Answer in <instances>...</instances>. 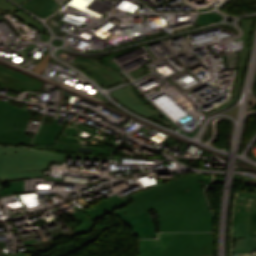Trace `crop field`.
<instances>
[{"label":"crop field","mask_w":256,"mask_h":256,"mask_svg":"<svg viewBox=\"0 0 256 256\" xmlns=\"http://www.w3.org/2000/svg\"><path fill=\"white\" fill-rule=\"evenodd\" d=\"M0 9L10 11V13H12L13 15H16V17L22 19L27 24H29V25H31V26H33L35 28H38L41 31H44V29H43L44 27H43L42 24H40L39 22L35 21L29 15H27L26 13L21 11L19 8L13 6L8 1L0 0ZM44 32H47V30H45Z\"/></svg>","instance_id":"crop-field-11"},{"label":"crop field","mask_w":256,"mask_h":256,"mask_svg":"<svg viewBox=\"0 0 256 256\" xmlns=\"http://www.w3.org/2000/svg\"><path fill=\"white\" fill-rule=\"evenodd\" d=\"M51 58L48 50L47 52L45 53V55L42 57V59L39 61V63L37 64L36 68L34 69V72L42 75L43 73V70L47 64V62L49 61V59Z\"/></svg>","instance_id":"crop-field-17"},{"label":"crop field","mask_w":256,"mask_h":256,"mask_svg":"<svg viewBox=\"0 0 256 256\" xmlns=\"http://www.w3.org/2000/svg\"><path fill=\"white\" fill-rule=\"evenodd\" d=\"M174 233H161L158 240H139L138 256H162Z\"/></svg>","instance_id":"crop-field-9"},{"label":"crop field","mask_w":256,"mask_h":256,"mask_svg":"<svg viewBox=\"0 0 256 256\" xmlns=\"http://www.w3.org/2000/svg\"><path fill=\"white\" fill-rule=\"evenodd\" d=\"M16 256H27V254H16Z\"/></svg>","instance_id":"crop-field-23"},{"label":"crop field","mask_w":256,"mask_h":256,"mask_svg":"<svg viewBox=\"0 0 256 256\" xmlns=\"http://www.w3.org/2000/svg\"><path fill=\"white\" fill-rule=\"evenodd\" d=\"M80 214L75 215L76 218H78L82 223L81 225L74 229V231L76 232H80V231H86L89 226L91 225V218H89L86 214H84L77 206L74 207Z\"/></svg>","instance_id":"crop-field-15"},{"label":"crop field","mask_w":256,"mask_h":256,"mask_svg":"<svg viewBox=\"0 0 256 256\" xmlns=\"http://www.w3.org/2000/svg\"><path fill=\"white\" fill-rule=\"evenodd\" d=\"M253 22H254V19L242 21V27L244 28L246 35L243 36V38L245 39L244 50L240 51V64L238 66V67H240V71H239L238 83H237V87H236V91H235L236 93L238 92V89H239L241 72H242V68L244 66L246 56H247L248 39H249L251 30H252Z\"/></svg>","instance_id":"crop-field-12"},{"label":"crop field","mask_w":256,"mask_h":256,"mask_svg":"<svg viewBox=\"0 0 256 256\" xmlns=\"http://www.w3.org/2000/svg\"><path fill=\"white\" fill-rule=\"evenodd\" d=\"M4 13H7V11L0 10V20L3 19L1 15H3Z\"/></svg>","instance_id":"crop-field-22"},{"label":"crop field","mask_w":256,"mask_h":256,"mask_svg":"<svg viewBox=\"0 0 256 256\" xmlns=\"http://www.w3.org/2000/svg\"><path fill=\"white\" fill-rule=\"evenodd\" d=\"M97 206H99V207H97ZM94 207H97L96 210H92V211H85L84 210L83 211L84 213H86L92 219L101 218V217H103L107 214L108 210H113V209L116 208L115 205H113L111 202H109L106 199L103 200L102 202H100L99 204H97ZM91 209H93V208H91ZM91 209H89V210H91Z\"/></svg>","instance_id":"crop-field-13"},{"label":"crop field","mask_w":256,"mask_h":256,"mask_svg":"<svg viewBox=\"0 0 256 256\" xmlns=\"http://www.w3.org/2000/svg\"><path fill=\"white\" fill-rule=\"evenodd\" d=\"M240 190H242V191H247V192H252V193H256V189H253V188H244V187H240Z\"/></svg>","instance_id":"crop-field-19"},{"label":"crop field","mask_w":256,"mask_h":256,"mask_svg":"<svg viewBox=\"0 0 256 256\" xmlns=\"http://www.w3.org/2000/svg\"><path fill=\"white\" fill-rule=\"evenodd\" d=\"M30 112L16 108L9 103L0 105V143L30 145L31 138L21 132L31 118ZM18 127V130H15Z\"/></svg>","instance_id":"crop-field-3"},{"label":"crop field","mask_w":256,"mask_h":256,"mask_svg":"<svg viewBox=\"0 0 256 256\" xmlns=\"http://www.w3.org/2000/svg\"><path fill=\"white\" fill-rule=\"evenodd\" d=\"M0 84L2 88L20 92L22 90H38L43 82L0 65Z\"/></svg>","instance_id":"crop-field-5"},{"label":"crop field","mask_w":256,"mask_h":256,"mask_svg":"<svg viewBox=\"0 0 256 256\" xmlns=\"http://www.w3.org/2000/svg\"><path fill=\"white\" fill-rule=\"evenodd\" d=\"M48 3H49V0H30L29 2L21 6L37 14L40 17V16H45V14H43L42 12Z\"/></svg>","instance_id":"crop-field-14"},{"label":"crop field","mask_w":256,"mask_h":256,"mask_svg":"<svg viewBox=\"0 0 256 256\" xmlns=\"http://www.w3.org/2000/svg\"><path fill=\"white\" fill-rule=\"evenodd\" d=\"M74 61L80 64L101 86L108 87L125 79L120 73L94 60L76 58Z\"/></svg>","instance_id":"crop-field-6"},{"label":"crop field","mask_w":256,"mask_h":256,"mask_svg":"<svg viewBox=\"0 0 256 256\" xmlns=\"http://www.w3.org/2000/svg\"><path fill=\"white\" fill-rule=\"evenodd\" d=\"M211 178H177L131 194L135 201L121 209L129 218L154 209L160 231H212L213 217L203 194V185Z\"/></svg>","instance_id":"crop-field-1"},{"label":"crop field","mask_w":256,"mask_h":256,"mask_svg":"<svg viewBox=\"0 0 256 256\" xmlns=\"http://www.w3.org/2000/svg\"><path fill=\"white\" fill-rule=\"evenodd\" d=\"M58 119H54L52 124L41 125L38 135L34 140V144L53 145L56 138L64 129L63 126L56 125Z\"/></svg>","instance_id":"crop-field-10"},{"label":"crop field","mask_w":256,"mask_h":256,"mask_svg":"<svg viewBox=\"0 0 256 256\" xmlns=\"http://www.w3.org/2000/svg\"><path fill=\"white\" fill-rule=\"evenodd\" d=\"M250 251V248L244 239H238L234 245V253H242Z\"/></svg>","instance_id":"crop-field-16"},{"label":"crop field","mask_w":256,"mask_h":256,"mask_svg":"<svg viewBox=\"0 0 256 256\" xmlns=\"http://www.w3.org/2000/svg\"><path fill=\"white\" fill-rule=\"evenodd\" d=\"M115 215L125 222L138 238H153L155 230L149 212L131 219H129L122 211L115 213Z\"/></svg>","instance_id":"crop-field-8"},{"label":"crop field","mask_w":256,"mask_h":256,"mask_svg":"<svg viewBox=\"0 0 256 256\" xmlns=\"http://www.w3.org/2000/svg\"><path fill=\"white\" fill-rule=\"evenodd\" d=\"M50 160H63L61 156L18 147H0V180L9 182V188L0 191V196L24 193V179L44 177ZM45 180L61 181V178L45 177Z\"/></svg>","instance_id":"crop-field-2"},{"label":"crop field","mask_w":256,"mask_h":256,"mask_svg":"<svg viewBox=\"0 0 256 256\" xmlns=\"http://www.w3.org/2000/svg\"><path fill=\"white\" fill-rule=\"evenodd\" d=\"M238 196L256 198V195L254 194H248V193H242V192H239Z\"/></svg>","instance_id":"crop-field-18"},{"label":"crop field","mask_w":256,"mask_h":256,"mask_svg":"<svg viewBox=\"0 0 256 256\" xmlns=\"http://www.w3.org/2000/svg\"><path fill=\"white\" fill-rule=\"evenodd\" d=\"M0 103H1V100H0Z\"/></svg>","instance_id":"crop-field-25"},{"label":"crop field","mask_w":256,"mask_h":256,"mask_svg":"<svg viewBox=\"0 0 256 256\" xmlns=\"http://www.w3.org/2000/svg\"><path fill=\"white\" fill-rule=\"evenodd\" d=\"M7 256H14V254H9V255H7Z\"/></svg>","instance_id":"crop-field-24"},{"label":"crop field","mask_w":256,"mask_h":256,"mask_svg":"<svg viewBox=\"0 0 256 256\" xmlns=\"http://www.w3.org/2000/svg\"><path fill=\"white\" fill-rule=\"evenodd\" d=\"M114 98L127 108L149 118L158 113L152 107L145 104L142 98L134 91L132 86L114 90Z\"/></svg>","instance_id":"crop-field-7"},{"label":"crop field","mask_w":256,"mask_h":256,"mask_svg":"<svg viewBox=\"0 0 256 256\" xmlns=\"http://www.w3.org/2000/svg\"><path fill=\"white\" fill-rule=\"evenodd\" d=\"M13 1H15V2H17L18 4H23V3H25V2H27L28 0H13Z\"/></svg>","instance_id":"crop-field-21"},{"label":"crop field","mask_w":256,"mask_h":256,"mask_svg":"<svg viewBox=\"0 0 256 256\" xmlns=\"http://www.w3.org/2000/svg\"><path fill=\"white\" fill-rule=\"evenodd\" d=\"M163 256H213L212 234L175 233Z\"/></svg>","instance_id":"crop-field-4"},{"label":"crop field","mask_w":256,"mask_h":256,"mask_svg":"<svg viewBox=\"0 0 256 256\" xmlns=\"http://www.w3.org/2000/svg\"><path fill=\"white\" fill-rule=\"evenodd\" d=\"M62 99H63V90H60V100H59V107L61 106L62 104Z\"/></svg>","instance_id":"crop-field-20"}]
</instances>
